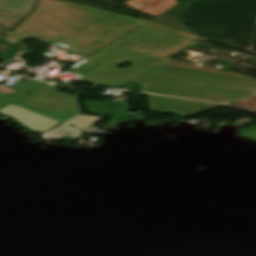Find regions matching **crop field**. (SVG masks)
<instances>
[{
  "instance_id": "8a807250",
  "label": "crop field",
  "mask_w": 256,
  "mask_h": 256,
  "mask_svg": "<svg viewBox=\"0 0 256 256\" xmlns=\"http://www.w3.org/2000/svg\"><path fill=\"white\" fill-rule=\"evenodd\" d=\"M195 41L138 27L66 70L95 85L120 88ZM125 63L131 67L118 69Z\"/></svg>"
},
{
  "instance_id": "ac0d7876",
  "label": "crop field",
  "mask_w": 256,
  "mask_h": 256,
  "mask_svg": "<svg viewBox=\"0 0 256 256\" xmlns=\"http://www.w3.org/2000/svg\"><path fill=\"white\" fill-rule=\"evenodd\" d=\"M138 26L195 41L199 39L197 35L155 22L75 4L37 40L76 53L91 55Z\"/></svg>"
},
{
  "instance_id": "34b2d1b8",
  "label": "crop field",
  "mask_w": 256,
  "mask_h": 256,
  "mask_svg": "<svg viewBox=\"0 0 256 256\" xmlns=\"http://www.w3.org/2000/svg\"><path fill=\"white\" fill-rule=\"evenodd\" d=\"M145 74L150 75L152 78L143 79L141 78L142 75L133 81L143 84L141 91L144 92L225 103L233 98L256 91V87L253 86L157 66Z\"/></svg>"
},
{
  "instance_id": "412701ff",
  "label": "crop field",
  "mask_w": 256,
  "mask_h": 256,
  "mask_svg": "<svg viewBox=\"0 0 256 256\" xmlns=\"http://www.w3.org/2000/svg\"><path fill=\"white\" fill-rule=\"evenodd\" d=\"M56 88L43 84L11 104L60 124L76 116L77 109L74 97Z\"/></svg>"
},
{
  "instance_id": "f4fd0767",
  "label": "crop field",
  "mask_w": 256,
  "mask_h": 256,
  "mask_svg": "<svg viewBox=\"0 0 256 256\" xmlns=\"http://www.w3.org/2000/svg\"><path fill=\"white\" fill-rule=\"evenodd\" d=\"M72 5V3L57 0H38L37 10L14 31L8 33L3 40L11 43L36 40Z\"/></svg>"
},
{
  "instance_id": "dd49c442",
  "label": "crop field",
  "mask_w": 256,
  "mask_h": 256,
  "mask_svg": "<svg viewBox=\"0 0 256 256\" xmlns=\"http://www.w3.org/2000/svg\"><path fill=\"white\" fill-rule=\"evenodd\" d=\"M0 114L17 119L32 132L43 133L57 125L11 104L0 109Z\"/></svg>"
},
{
  "instance_id": "e52e79f7",
  "label": "crop field",
  "mask_w": 256,
  "mask_h": 256,
  "mask_svg": "<svg viewBox=\"0 0 256 256\" xmlns=\"http://www.w3.org/2000/svg\"><path fill=\"white\" fill-rule=\"evenodd\" d=\"M35 0H0V22L12 27L30 12Z\"/></svg>"
},
{
  "instance_id": "d8731c3e",
  "label": "crop field",
  "mask_w": 256,
  "mask_h": 256,
  "mask_svg": "<svg viewBox=\"0 0 256 256\" xmlns=\"http://www.w3.org/2000/svg\"><path fill=\"white\" fill-rule=\"evenodd\" d=\"M145 2L146 0H128L124 4L140 11L141 8L144 6ZM148 2L149 3L145 6L142 12L152 15L154 17L160 15L169 8L178 4L175 0H148Z\"/></svg>"
},
{
  "instance_id": "5a996713",
  "label": "crop field",
  "mask_w": 256,
  "mask_h": 256,
  "mask_svg": "<svg viewBox=\"0 0 256 256\" xmlns=\"http://www.w3.org/2000/svg\"><path fill=\"white\" fill-rule=\"evenodd\" d=\"M41 84L42 83L27 80L25 82L20 81L9 89L0 86V108Z\"/></svg>"
},
{
  "instance_id": "3316defc",
  "label": "crop field",
  "mask_w": 256,
  "mask_h": 256,
  "mask_svg": "<svg viewBox=\"0 0 256 256\" xmlns=\"http://www.w3.org/2000/svg\"><path fill=\"white\" fill-rule=\"evenodd\" d=\"M148 97L152 112L167 111L186 116L178 100L151 95Z\"/></svg>"
},
{
  "instance_id": "28ad6ade",
  "label": "crop field",
  "mask_w": 256,
  "mask_h": 256,
  "mask_svg": "<svg viewBox=\"0 0 256 256\" xmlns=\"http://www.w3.org/2000/svg\"><path fill=\"white\" fill-rule=\"evenodd\" d=\"M160 66L256 86V81L254 80L243 79V78H238V77H233V76H228V75H223V74H218V73H213V72H208V71H203V70H198L193 68H187V67H182V66H177V65L167 64V63H163Z\"/></svg>"
},
{
  "instance_id": "d1516ede",
  "label": "crop field",
  "mask_w": 256,
  "mask_h": 256,
  "mask_svg": "<svg viewBox=\"0 0 256 256\" xmlns=\"http://www.w3.org/2000/svg\"><path fill=\"white\" fill-rule=\"evenodd\" d=\"M180 102L188 117L220 106L215 104L190 102L185 100H180Z\"/></svg>"
},
{
  "instance_id": "22f410ed",
  "label": "crop field",
  "mask_w": 256,
  "mask_h": 256,
  "mask_svg": "<svg viewBox=\"0 0 256 256\" xmlns=\"http://www.w3.org/2000/svg\"><path fill=\"white\" fill-rule=\"evenodd\" d=\"M102 119H104V118L80 115V116L72 119L71 121L67 122L66 124L74 125L76 127L86 129V128L96 124L97 122L101 121Z\"/></svg>"
},
{
  "instance_id": "cbeb9de0",
  "label": "crop field",
  "mask_w": 256,
  "mask_h": 256,
  "mask_svg": "<svg viewBox=\"0 0 256 256\" xmlns=\"http://www.w3.org/2000/svg\"><path fill=\"white\" fill-rule=\"evenodd\" d=\"M58 138H63L65 136H69V137H74V138H78L81 136V131L78 129H74L68 126H64V125H60L58 127H56L55 129L51 130L50 132H48Z\"/></svg>"
},
{
  "instance_id": "5142ce71",
  "label": "crop field",
  "mask_w": 256,
  "mask_h": 256,
  "mask_svg": "<svg viewBox=\"0 0 256 256\" xmlns=\"http://www.w3.org/2000/svg\"><path fill=\"white\" fill-rule=\"evenodd\" d=\"M167 63H172V64H177V65H182V66H187V67H193V68H198V69H203V70H208V71H213V72H218V73H223V74H228V75H233V76H238V77H243V78H249V79H254L242 74L234 73V72H225V71H219V70H213V69H207V68H202V67H197V66H192V65H186V64H181V63H176V62H170L167 61Z\"/></svg>"
},
{
  "instance_id": "d9b57169",
  "label": "crop field",
  "mask_w": 256,
  "mask_h": 256,
  "mask_svg": "<svg viewBox=\"0 0 256 256\" xmlns=\"http://www.w3.org/2000/svg\"><path fill=\"white\" fill-rule=\"evenodd\" d=\"M242 102H247V103H252V104H256V95L254 96H251L249 98H246V99H243V100H240ZM239 101L237 102H234L232 104H235V105H239V106H244V107H248V108H252V109H256V106L254 105H248V104H242V103H238Z\"/></svg>"
}]
</instances>
